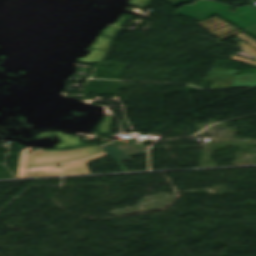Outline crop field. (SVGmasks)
Returning a JSON list of instances; mask_svg holds the SVG:
<instances>
[{
	"label": "crop field",
	"instance_id": "1",
	"mask_svg": "<svg viewBox=\"0 0 256 256\" xmlns=\"http://www.w3.org/2000/svg\"><path fill=\"white\" fill-rule=\"evenodd\" d=\"M231 8V6L213 1L201 0L193 6H184L176 14L198 20H203L216 14L256 38V10L245 5L238 8L235 13L227 11Z\"/></svg>",
	"mask_w": 256,
	"mask_h": 256
},
{
	"label": "crop field",
	"instance_id": "2",
	"mask_svg": "<svg viewBox=\"0 0 256 256\" xmlns=\"http://www.w3.org/2000/svg\"><path fill=\"white\" fill-rule=\"evenodd\" d=\"M103 150L104 152L101 155H97L87 160L75 162L69 165H64V175L91 174L85 163L106 155H108L123 172H126L128 170L120 161L129 160L131 159L130 156L147 154L146 147H133V145L124 144H108L103 147Z\"/></svg>",
	"mask_w": 256,
	"mask_h": 256
},
{
	"label": "crop field",
	"instance_id": "3",
	"mask_svg": "<svg viewBox=\"0 0 256 256\" xmlns=\"http://www.w3.org/2000/svg\"><path fill=\"white\" fill-rule=\"evenodd\" d=\"M237 70L213 69L205 80L214 81L211 88H236L256 86V74L235 75Z\"/></svg>",
	"mask_w": 256,
	"mask_h": 256
},
{
	"label": "crop field",
	"instance_id": "4",
	"mask_svg": "<svg viewBox=\"0 0 256 256\" xmlns=\"http://www.w3.org/2000/svg\"><path fill=\"white\" fill-rule=\"evenodd\" d=\"M61 175L60 167L49 166V167H39L32 169H23L18 167L17 178L21 177H36V176H53Z\"/></svg>",
	"mask_w": 256,
	"mask_h": 256
},
{
	"label": "crop field",
	"instance_id": "5",
	"mask_svg": "<svg viewBox=\"0 0 256 256\" xmlns=\"http://www.w3.org/2000/svg\"><path fill=\"white\" fill-rule=\"evenodd\" d=\"M102 145H104V144H102ZM102 145H99V147L102 146Z\"/></svg>",
	"mask_w": 256,
	"mask_h": 256
}]
</instances>
